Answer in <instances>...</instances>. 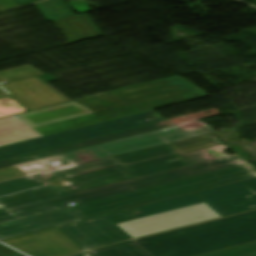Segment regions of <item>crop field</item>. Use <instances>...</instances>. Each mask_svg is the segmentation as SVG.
Here are the masks:
<instances>
[{"mask_svg": "<svg viewBox=\"0 0 256 256\" xmlns=\"http://www.w3.org/2000/svg\"><path fill=\"white\" fill-rule=\"evenodd\" d=\"M49 177H51V175L48 172L20 180L1 183L0 196L43 185L48 182Z\"/></svg>", "mask_w": 256, "mask_h": 256, "instance_id": "22f410ed", "label": "crop field"}, {"mask_svg": "<svg viewBox=\"0 0 256 256\" xmlns=\"http://www.w3.org/2000/svg\"><path fill=\"white\" fill-rule=\"evenodd\" d=\"M256 177L249 163L0 225V240Z\"/></svg>", "mask_w": 256, "mask_h": 256, "instance_id": "ac0d7876", "label": "crop field"}, {"mask_svg": "<svg viewBox=\"0 0 256 256\" xmlns=\"http://www.w3.org/2000/svg\"><path fill=\"white\" fill-rule=\"evenodd\" d=\"M168 126H172V124L167 121H164V122H160V123H156V124L132 129V130H127V131H123V132H119V133H115V134H111V135H107V136H103L95 139H90V140H86V141H82V142H78V143H74V144H70V145H66L58 148H53V149L21 156L13 159H8V160L0 161V168L28 162L32 158H43V157H47V156H51L59 153H64V152L112 141V140H116L124 137L168 127Z\"/></svg>", "mask_w": 256, "mask_h": 256, "instance_id": "d1516ede", "label": "crop field"}, {"mask_svg": "<svg viewBox=\"0 0 256 256\" xmlns=\"http://www.w3.org/2000/svg\"><path fill=\"white\" fill-rule=\"evenodd\" d=\"M256 241V211L135 240L152 256H197Z\"/></svg>", "mask_w": 256, "mask_h": 256, "instance_id": "412701ff", "label": "crop field"}, {"mask_svg": "<svg viewBox=\"0 0 256 256\" xmlns=\"http://www.w3.org/2000/svg\"><path fill=\"white\" fill-rule=\"evenodd\" d=\"M206 129H198L184 133L178 126H173L57 156L3 168L5 170L28 177L30 175L52 171L84 162L133 152L166 143H172L188 138L209 134ZM58 160L59 166H51L47 162Z\"/></svg>", "mask_w": 256, "mask_h": 256, "instance_id": "f4fd0767", "label": "crop field"}, {"mask_svg": "<svg viewBox=\"0 0 256 256\" xmlns=\"http://www.w3.org/2000/svg\"><path fill=\"white\" fill-rule=\"evenodd\" d=\"M219 217L210 207L202 203L118 224L117 226L133 238H136Z\"/></svg>", "mask_w": 256, "mask_h": 256, "instance_id": "3316defc", "label": "crop field"}, {"mask_svg": "<svg viewBox=\"0 0 256 256\" xmlns=\"http://www.w3.org/2000/svg\"><path fill=\"white\" fill-rule=\"evenodd\" d=\"M201 256H256V242Z\"/></svg>", "mask_w": 256, "mask_h": 256, "instance_id": "d9b57169", "label": "crop field"}, {"mask_svg": "<svg viewBox=\"0 0 256 256\" xmlns=\"http://www.w3.org/2000/svg\"><path fill=\"white\" fill-rule=\"evenodd\" d=\"M3 242L31 256H66L83 251L55 228L3 240Z\"/></svg>", "mask_w": 256, "mask_h": 256, "instance_id": "28ad6ade", "label": "crop field"}, {"mask_svg": "<svg viewBox=\"0 0 256 256\" xmlns=\"http://www.w3.org/2000/svg\"><path fill=\"white\" fill-rule=\"evenodd\" d=\"M79 256H88L87 254H82V255H79Z\"/></svg>", "mask_w": 256, "mask_h": 256, "instance_id": "4a817a6b", "label": "crop field"}, {"mask_svg": "<svg viewBox=\"0 0 256 256\" xmlns=\"http://www.w3.org/2000/svg\"><path fill=\"white\" fill-rule=\"evenodd\" d=\"M157 113L150 111L30 141L0 147V160L13 158L53 147H58L90 138H95L127 129L164 121Z\"/></svg>", "mask_w": 256, "mask_h": 256, "instance_id": "e52e79f7", "label": "crop field"}, {"mask_svg": "<svg viewBox=\"0 0 256 256\" xmlns=\"http://www.w3.org/2000/svg\"><path fill=\"white\" fill-rule=\"evenodd\" d=\"M179 127L184 132L194 130V129H198V128H202V126L200 124H198L196 121L190 122V123H187V124H183V125H179Z\"/></svg>", "mask_w": 256, "mask_h": 256, "instance_id": "733c2abd", "label": "crop field"}, {"mask_svg": "<svg viewBox=\"0 0 256 256\" xmlns=\"http://www.w3.org/2000/svg\"><path fill=\"white\" fill-rule=\"evenodd\" d=\"M39 71H37L35 68L32 66H24L4 72H0V84L10 82V81H15L27 77H32L36 75H40Z\"/></svg>", "mask_w": 256, "mask_h": 256, "instance_id": "5142ce71", "label": "crop field"}, {"mask_svg": "<svg viewBox=\"0 0 256 256\" xmlns=\"http://www.w3.org/2000/svg\"><path fill=\"white\" fill-rule=\"evenodd\" d=\"M133 219L128 213L122 211L58 228L74 240L82 249L87 250L131 239L132 237L115 224Z\"/></svg>", "mask_w": 256, "mask_h": 256, "instance_id": "5a996713", "label": "crop field"}, {"mask_svg": "<svg viewBox=\"0 0 256 256\" xmlns=\"http://www.w3.org/2000/svg\"><path fill=\"white\" fill-rule=\"evenodd\" d=\"M252 195L251 198H246ZM256 198V178L195 193L192 195L127 210L135 219L181 208L198 203L205 202L221 217L255 209L256 202L244 206L237 207L236 205L244 204L243 202L249 199ZM256 201V200H254ZM253 202V201H250ZM249 203V202H246ZM255 206V207H251ZM251 207V208H248Z\"/></svg>", "mask_w": 256, "mask_h": 256, "instance_id": "dd49c442", "label": "crop field"}, {"mask_svg": "<svg viewBox=\"0 0 256 256\" xmlns=\"http://www.w3.org/2000/svg\"><path fill=\"white\" fill-rule=\"evenodd\" d=\"M0 119L67 102L35 77L0 85Z\"/></svg>", "mask_w": 256, "mask_h": 256, "instance_id": "d8731c3e", "label": "crop field"}, {"mask_svg": "<svg viewBox=\"0 0 256 256\" xmlns=\"http://www.w3.org/2000/svg\"><path fill=\"white\" fill-rule=\"evenodd\" d=\"M212 134L166 144L133 153L76 165L60 172L71 179L60 183L2 197L0 209L23 205L87 188L109 184L142 175L161 172L189 164L179 155L192 150L220 144ZM51 187L58 188L57 194ZM55 188V189H56ZM50 189V190H49Z\"/></svg>", "mask_w": 256, "mask_h": 256, "instance_id": "8a807250", "label": "crop field"}, {"mask_svg": "<svg viewBox=\"0 0 256 256\" xmlns=\"http://www.w3.org/2000/svg\"><path fill=\"white\" fill-rule=\"evenodd\" d=\"M89 253L92 256H151L133 241Z\"/></svg>", "mask_w": 256, "mask_h": 256, "instance_id": "cbeb9de0", "label": "crop field"}, {"mask_svg": "<svg viewBox=\"0 0 256 256\" xmlns=\"http://www.w3.org/2000/svg\"><path fill=\"white\" fill-rule=\"evenodd\" d=\"M229 148H231L237 154L232 156L226 155L223 150ZM181 156L191 166L142 176L19 207L2 210L0 211V224L52 210L70 207L67 204L72 202L78 205L251 161V159L241 149L233 144L228 146H224L223 144H221L181 154Z\"/></svg>", "mask_w": 256, "mask_h": 256, "instance_id": "34b2d1b8", "label": "crop field"}]
</instances>
